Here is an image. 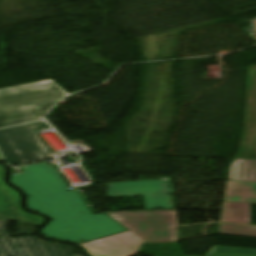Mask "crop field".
<instances>
[{
  "label": "crop field",
  "instance_id": "crop-field-13",
  "mask_svg": "<svg viewBox=\"0 0 256 256\" xmlns=\"http://www.w3.org/2000/svg\"><path fill=\"white\" fill-rule=\"evenodd\" d=\"M229 180L256 181V161L235 159Z\"/></svg>",
  "mask_w": 256,
  "mask_h": 256
},
{
  "label": "crop field",
  "instance_id": "crop-field-9",
  "mask_svg": "<svg viewBox=\"0 0 256 256\" xmlns=\"http://www.w3.org/2000/svg\"><path fill=\"white\" fill-rule=\"evenodd\" d=\"M236 158L256 160V66L248 67L246 128Z\"/></svg>",
  "mask_w": 256,
  "mask_h": 256
},
{
  "label": "crop field",
  "instance_id": "crop-field-15",
  "mask_svg": "<svg viewBox=\"0 0 256 256\" xmlns=\"http://www.w3.org/2000/svg\"><path fill=\"white\" fill-rule=\"evenodd\" d=\"M218 233L256 237V227L220 224Z\"/></svg>",
  "mask_w": 256,
  "mask_h": 256
},
{
  "label": "crop field",
  "instance_id": "crop-field-12",
  "mask_svg": "<svg viewBox=\"0 0 256 256\" xmlns=\"http://www.w3.org/2000/svg\"><path fill=\"white\" fill-rule=\"evenodd\" d=\"M219 222L251 225L250 204L223 202Z\"/></svg>",
  "mask_w": 256,
  "mask_h": 256
},
{
  "label": "crop field",
  "instance_id": "crop-field-5",
  "mask_svg": "<svg viewBox=\"0 0 256 256\" xmlns=\"http://www.w3.org/2000/svg\"><path fill=\"white\" fill-rule=\"evenodd\" d=\"M7 226L8 222L0 220V256H72L75 252L71 246L51 244L36 237L4 239L12 237L6 232ZM34 231L33 227L18 224L17 236L34 235Z\"/></svg>",
  "mask_w": 256,
  "mask_h": 256
},
{
  "label": "crop field",
  "instance_id": "crop-field-10",
  "mask_svg": "<svg viewBox=\"0 0 256 256\" xmlns=\"http://www.w3.org/2000/svg\"><path fill=\"white\" fill-rule=\"evenodd\" d=\"M4 169L0 166V219L37 227L44 218L19 212L20 196L3 182Z\"/></svg>",
  "mask_w": 256,
  "mask_h": 256
},
{
  "label": "crop field",
  "instance_id": "crop-field-3",
  "mask_svg": "<svg viewBox=\"0 0 256 256\" xmlns=\"http://www.w3.org/2000/svg\"><path fill=\"white\" fill-rule=\"evenodd\" d=\"M66 229L72 233L63 232ZM122 231H126V228L102 214L51 221L42 229L41 234L56 240L79 243L81 239L88 241Z\"/></svg>",
  "mask_w": 256,
  "mask_h": 256
},
{
  "label": "crop field",
  "instance_id": "crop-field-14",
  "mask_svg": "<svg viewBox=\"0 0 256 256\" xmlns=\"http://www.w3.org/2000/svg\"><path fill=\"white\" fill-rule=\"evenodd\" d=\"M207 256H256V250L216 246Z\"/></svg>",
  "mask_w": 256,
  "mask_h": 256
},
{
  "label": "crop field",
  "instance_id": "crop-field-7",
  "mask_svg": "<svg viewBox=\"0 0 256 256\" xmlns=\"http://www.w3.org/2000/svg\"><path fill=\"white\" fill-rule=\"evenodd\" d=\"M170 180L109 184L108 197L142 196L146 209L174 208ZM170 185V187H166ZM169 190V192H164ZM166 193H170V196Z\"/></svg>",
  "mask_w": 256,
  "mask_h": 256
},
{
  "label": "crop field",
  "instance_id": "crop-field-2",
  "mask_svg": "<svg viewBox=\"0 0 256 256\" xmlns=\"http://www.w3.org/2000/svg\"><path fill=\"white\" fill-rule=\"evenodd\" d=\"M67 95L54 82L0 90V128L39 121Z\"/></svg>",
  "mask_w": 256,
  "mask_h": 256
},
{
  "label": "crop field",
  "instance_id": "crop-field-4",
  "mask_svg": "<svg viewBox=\"0 0 256 256\" xmlns=\"http://www.w3.org/2000/svg\"><path fill=\"white\" fill-rule=\"evenodd\" d=\"M108 215L144 242L176 241L178 239L176 210Z\"/></svg>",
  "mask_w": 256,
  "mask_h": 256
},
{
  "label": "crop field",
  "instance_id": "crop-field-6",
  "mask_svg": "<svg viewBox=\"0 0 256 256\" xmlns=\"http://www.w3.org/2000/svg\"><path fill=\"white\" fill-rule=\"evenodd\" d=\"M0 151L13 166L45 161L47 154L30 125L0 130Z\"/></svg>",
  "mask_w": 256,
  "mask_h": 256
},
{
  "label": "crop field",
  "instance_id": "crop-field-11",
  "mask_svg": "<svg viewBox=\"0 0 256 256\" xmlns=\"http://www.w3.org/2000/svg\"><path fill=\"white\" fill-rule=\"evenodd\" d=\"M224 201L256 203V183L228 181Z\"/></svg>",
  "mask_w": 256,
  "mask_h": 256
},
{
  "label": "crop field",
  "instance_id": "crop-field-8",
  "mask_svg": "<svg viewBox=\"0 0 256 256\" xmlns=\"http://www.w3.org/2000/svg\"><path fill=\"white\" fill-rule=\"evenodd\" d=\"M142 244V241L127 231L80 245L90 256H133Z\"/></svg>",
  "mask_w": 256,
  "mask_h": 256
},
{
  "label": "crop field",
  "instance_id": "crop-field-16",
  "mask_svg": "<svg viewBox=\"0 0 256 256\" xmlns=\"http://www.w3.org/2000/svg\"><path fill=\"white\" fill-rule=\"evenodd\" d=\"M0 162H3V160H2V158H1V156H0Z\"/></svg>",
  "mask_w": 256,
  "mask_h": 256
},
{
  "label": "crop field",
  "instance_id": "crop-field-1",
  "mask_svg": "<svg viewBox=\"0 0 256 256\" xmlns=\"http://www.w3.org/2000/svg\"><path fill=\"white\" fill-rule=\"evenodd\" d=\"M25 173L11 177L13 184L27 196L31 210L56 219L91 214L77 191L68 189L57 170L47 163L25 166Z\"/></svg>",
  "mask_w": 256,
  "mask_h": 256
}]
</instances>
